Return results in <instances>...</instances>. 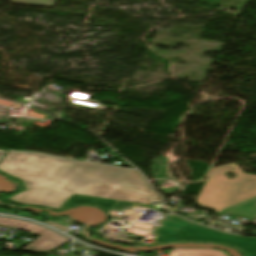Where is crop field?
Wrapping results in <instances>:
<instances>
[{
  "label": "crop field",
  "mask_w": 256,
  "mask_h": 256,
  "mask_svg": "<svg viewBox=\"0 0 256 256\" xmlns=\"http://www.w3.org/2000/svg\"><path fill=\"white\" fill-rule=\"evenodd\" d=\"M0 171L23 182L26 190L8 200L57 209L73 193L150 205L155 197L128 169L54 157L42 153L8 151Z\"/></svg>",
  "instance_id": "1"
},
{
  "label": "crop field",
  "mask_w": 256,
  "mask_h": 256,
  "mask_svg": "<svg viewBox=\"0 0 256 256\" xmlns=\"http://www.w3.org/2000/svg\"><path fill=\"white\" fill-rule=\"evenodd\" d=\"M237 176L228 180L225 173ZM197 203L220 215L234 214L252 220L256 216V175L245 174L236 163L212 169Z\"/></svg>",
  "instance_id": "2"
},
{
  "label": "crop field",
  "mask_w": 256,
  "mask_h": 256,
  "mask_svg": "<svg viewBox=\"0 0 256 256\" xmlns=\"http://www.w3.org/2000/svg\"><path fill=\"white\" fill-rule=\"evenodd\" d=\"M151 244L171 242H210L241 249L246 256H256V238L236 236L189 223L177 216H167L153 232Z\"/></svg>",
  "instance_id": "3"
},
{
  "label": "crop field",
  "mask_w": 256,
  "mask_h": 256,
  "mask_svg": "<svg viewBox=\"0 0 256 256\" xmlns=\"http://www.w3.org/2000/svg\"><path fill=\"white\" fill-rule=\"evenodd\" d=\"M0 225L20 229L31 234L40 235L35 240L30 242L27 246H25L23 248L24 250L35 252H49L55 250L56 248L60 247L68 241L62 236L48 229L19 220L0 217Z\"/></svg>",
  "instance_id": "4"
},
{
  "label": "crop field",
  "mask_w": 256,
  "mask_h": 256,
  "mask_svg": "<svg viewBox=\"0 0 256 256\" xmlns=\"http://www.w3.org/2000/svg\"><path fill=\"white\" fill-rule=\"evenodd\" d=\"M75 204H94L104 208L107 212L110 210L122 212L126 208L135 210L138 206L148 208L147 205L134 204L122 201L102 199L90 196L73 194L66 202H64L57 210L67 208Z\"/></svg>",
  "instance_id": "5"
},
{
  "label": "crop field",
  "mask_w": 256,
  "mask_h": 256,
  "mask_svg": "<svg viewBox=\"0 0 256 256\" xmlns=\"http://www.w3.org/2000/svg\"><path fill=\"white\" fill-rule=\"evenodd\" d=\"M169 256H227V255L217 250L178 249V250H172Z\"/></svg>",
  "instance_id": "6"
},
{
  "label": "crop field",
  "mask_w": 256,
  "mask_h": 256,
  "mask_svg": "<svg viewBox=\"0 0 256 256\" xmlns=\"http://www.w3.org/2000/svg\"><path fill=\"white\" fill-rule=\"evenodd\" d=\"M12 3L32 6L52 7L55 0H11Z\"/></svg>",
  "instance_id": "7"
},
{
  "label": "crop field",
  "mask_w": 256,
  "mask_h": 256,
  "mask_svg": "<svg viewBox=\"0 0 256 256\" xmlns=\"http://www.w3.org/2000/svg\"><path fill=\"white\" fill-rule=\"evenodd\" d=\"M129 170L132 171L135 175H137V176L143 181V183H144V185H145V191L148 192V193H150V194H152V195H154V196L156 197V200H155L154 202H161L160 197H158L155 193H153V192L149 189V187L147 186V184L145 183V181L143 180V178L141 177V175H140L137 171H135V170H131V169H129Z\"/></svg>",
  "instance_id": "8"
},
{
  "label": "crop field",
  "mask_w": 256,
  "mask_h": 256,
  "mask_svg": "<svg viewBox=\"0 0 256 256\" xmlns=\"http://www.w3.org/2000/svg\"><path fill=\"white\" fill-rule=\"evenodd\" d=\"M5 153H6L5 151H1V150H0V158H1Z\"/></svg>",
  "instance_id": "9"
},
{
  "label": "crop field",
  "mask_w": 256,
  "mask_h": 256,
  "mask_svg": "<svg viewBox=\"0 0 256 256\" xmlns=\"http://www.w3.org/2000/svg\"><path fill=\"white\" fill-rule=\"evenodd\" d=\"M251 224L256 225V219H254Z\"/></svg>",
  "instance_id": "10"
}]
</instances>
